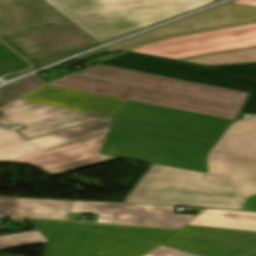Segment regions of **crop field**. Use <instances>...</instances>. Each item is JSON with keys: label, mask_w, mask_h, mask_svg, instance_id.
<instances>
[{"label": "crop field", "mask_w": 256, "mask_h": 256, "mask_svg": "<svg viewBox=\"0 0 256 256\" xmlns=\"http://www.w3.org/2000/svg\"><path fill=\"white\" fill-rule=\"evenodd\" d=\"M70 23L41 0H0V35Z\"/></svg>", "instance_id": "obj_15"}, {"label": "crop field", "mask_w": 256, "mask_h": 256, "mask_svg": "<svg viewBox=\"0 0 256 256\" xmlns=\"http://www.w3.org/2000/svg\"><path fill=\"white\" fill-rule=\"evenodd\" d=\"M103 53H107V51H105L104 49H101V50H97L95 52L89 53L87 55L81 56L79 58L81 60H83V59H87V58H90V57H93V56H97V55H100V54H103Z\"/></svg>", "instance_id": "obj_25"}, {"label": "crop field", "mask_w": 256, "mask_h": 256, "mask_svg": "<svg viewBox=\"0 0 256 256\" xmlns=\"http://www.w3.org/2000/svg\"><path fill=\"white\" fill-rule=\"evenodd\" d=\"M256 20V8L223 4L199 14L112 44L109 53L168 35H175Z\"/></svg>", "instance_id": "obj_11"}, {"label": "crop field", "mask_w": 256, "mask_h": 256, "mask_svg": "<svg viewBox=\"0 0 256 256\" xmlns=\"http://www.w3.org/2000/svg\"><path fill=\"white\" fill-rule=\"evenodd\" d=\"M27 67L30 66L22 59L0 62V74L20 71Z\"/></svg>", "instance_id": "obj_22"}, {"label": "crop field", "mask_w": 256, "mask_h": 256, "mask_svg": "<svg viewBox=\"0 0 256 256\" xmlns=\"http://www.w3.org/2000/svg\"><path fill=\"white\" fill-rule=\"evenodd\" d=\"M113 118L25 141L0 126V161L29 163L54 175L116 159L99 154Z\"/></svg>", "instance_id": "obj_4"}, {"label": "crop field", "mask_w": 256, "mask_h": 256, "mask_svg": "<svg viewBox=\"0 0 256 256\" xmlns=\"http://www.w3.org/2000/svg\"><path fill=\"white\" fill-rule=\"evenodd\" d=\"M43 82L32 75L0 88V103L5 105L19 96L41 86Z\"/></svg>", "instance_id": "obj_19"}, {"label": "crop field", "mask_w": 256, "mask_h": 256, "mask_svg": "<svg viewBox=\"0 0 256 256\" xmlns=\"http://www.w3.org/2000/svg\"><path fill=\"white\" fill-rule=\"evenodd\" d=\"M0 125L21 124L25 139L109 117L18 100L0 110Z\"/></svg>", "instance_id": "obj_10"}, {"label": "crop field", "mask_w": 256, "mask_h": 256, "mask_svg": "<svg viewBox=\"0 0 256 256\" xmlns=\"http://www.w3.org/2000/svg\"><path fill=\"white\" fill-rule=\"evenodd\" d=\"M231 123L128 102L100 153L207 173L206 154Z\"/></svg>", "instance_id": "obj_2"}, {"label": "crop field", "mask_w": 256, "mask_h": 256, "mask_svg": "<svg viewBox=\"0 0 256 256\" xmlns=\"http://www.w3.org/2000/svg\"><path fill=\"white\" fill-rule=\"evenodd\" d=\"M97 43L217 0H43Z\"/></svg>", "instance_id": "obj_5"}, {"label": "crop field", "mask_w": 256, "mask_h": 256, "mask_svg": "<svg viewBox=\"0 0 256 256\" xmlns=\"http://www.w3.org/2000/svg\"><path fill=\"white\" fill-rule=\"evenodd\" d=\"M256 46V23L168 38L129 51L185 59Z\"/></svg>", "instance_id": "obj_9"}, {"label": "crop field", "mask_w": 256, "mask_h": 256, "mask_svg": "<svg viewBox=\"0 0 256 256\" xmlns=\"http://www.w3.org/2000/svg\"><path fill=\"white\" fill-rule=\"evenodd\" d=\"M0 39L24 58L85 48L97 44L73 24L1 36Z\"/></svg>", "instance_id": "obj_14"}, {"label": "crop field", "mask_w": 256, "mask_h": 256, "mask_svg": "<svg viewBox=\"0 0 256 256\" xmlns=\"http://www.w3.org/2000/svg\"><path fill=\"white\" fill-rule=\"evenodd\" d=\"M208 173L228 176L242 197L256 195V116L230 125L207 154Z\"/></svg>", "instance_id": "obj_8"}, {"label": "crop field", "mask_w": 256, "mask_h": 256, "mask_svg": "<svg viewBox=\"0 0 256 256\" xmlns=\"http://www.w3.org/2000/svg\"><path fill=\"white\" fill-rule=\"evenodd\" d=\"M126 52H128V51H126ZM123 53H125V52H123ZM123 53H119V54L112 55V56H108V57L99 58L98 60H99L100 62H102V61H104V60L110 59V58H112V57H115V56L120 55V54H123Z\"/></svg>", "instance_id": "obj_27"}, {"label": "crop field", "mask_w": 256, "mask_h": 256, "mask_svg": "<svg viewBox=\"0 0 256 256\" xmlns=\"http://www.w3.org/2000/svg\"><path fill=\"white\" fill-rule=\"evenodd\" d=\"M241 210L256 212V196L246 198Z\"/></svg>", "instance_id": "obj_24"}, {"label": "crop field", "mask_w": 256, "mask_h": 256, "mask_svg": "<svg viewBox=\"0 0 256 256\" xmlns=\"http://www.w3.org/2000/svg\"><path fill=\"white\" fill-rule=\"evenodd\" d=\"M99 65L246 91L249 94L240 112L256 111V63L204 67L128 52Z\"/></svg>", "instance_id": "obj_7"}, {"label": "crop field", "mask_w": 256, "mask_h": 256, "mask_svg": "<svg viewBox=\"0 0 256 256\" xmlns=\"http://www.w3.org/2000/svg\"><path fill=\"white\" fill-rule=\"evenodd\" d=\"M143 256H195L182 251H178L165 246H158L151 251L147 252Z\"/></svg>", "instance_id": "obj_20"}, {"label": "crop field", "mask_w": 256, "mask_h": 256, "mask_svg": "<svg viewBox=\"0 0 256 256\" xmlns=\"http://www.w3.org/2000/svg\"><path fill=\"white\" fill-rule=\"evenodd\" d=\"M188 224L256 231V214L208 210L199 214Z\"/></svg>", "instance_id": "obj_17"}, {"label": "crop field", "mask_w": 256, "mask_h": 256, "mask_svg": "<svg viewBox=\"0 0 256 256\" xmlns=\"http://www.w3.org/2000/svg\"><path fill=\"white\" fill-rule=\"evenodd\" d=\"M18 58L20 57L14 54L7 47H5L4 45H0V61L12 60V59H18Z\"/></svg>", "instance_id": "obj_23"}, {"label": "crop field", "mask_w": 256, "mask_h": 256, "mask_svg": "<svg viewBox=\"0 0 256 256\" xmlns=\"http://www.w3.org/2000/svg\"><path fill=\"white\" fill-rule=\"evenodd\" d=\"M21 100H27L109 116H115L128 102L126 100L116 98L47 86H44L34 91L33 93L21 98Z\"/></svg>", "instance_id": "obj_16"}, {"label": "crop field", "mask_w": 256, "mask_h": 256, "mask_svg": "<svg viewBox=\"0 0 256 256\" xmlns=\"http://www.w3.org/2000/svg\"><path fill=\"white\" fill-rule=\"evenodd\" d=\"M231 3H238V4H245V5H252L256 6V0H235Z\"/></svg>", "instance_id": "obj_26"}, {"label": "crop field", "mask_w": 256, "mask_h": 256, "mask_svg": "<svg viewBox=\"0 0 256 256\" xmlns=\"http://www.w3.org/2000/svg\"><path fill=\"white\" fill-rule=\"evenodd\" d=\"M80 50H83V49L68 51V52H63V53H57V54H51V55H45V56H39V57H33V58H27L26 60H28L34 66L38 67L40 65L46 64L48 62H51L53 60L59 59L61 57L67 56L69 54L75 53Z\"/></svg>", "instance_id": "obj_21"}, {"label": "crop field", "mask_w": 256, "mask_h": 256, "mask_svg": "<svg viewBox=\"0 0 256 256\" xmlns=\"http://www.w3.org/2000/svg\"><path fill=\"white\" fill-rule=\"evenodd\" d=\"M73 201L0 197V218L23 216L66 220ZM38 232L0 237V250L45 243Z\"/></svg>", "instance_id": "obj_13"}, {"label": "crop field", "mask_w": 256, "mask_h": 256, "mask_svg": "<svg viewBox=\"0 0 256 256\" xmlns=\"http://www.w3.org/2000/svg\"><path fill=\"white\" fill-rule=\"evenodd\" d=\"M47 85L232 119L248 94L99 65Z\"/></svg>", "instance_id": "obj_3"}, {"label": "crop field", "mask_w": 256, "mask_h": 256, "mask_svg": "<svg viewBox=\"0 0 256 256\" xmlns=\"http://www.w3.org/2000/svg\"><path fill=\"white\" fill-rule=\"evenodd\" d=\"M204 66L256 62V47L179 60Z\"/></svg>", "instance_id": "obj_18"}, {"label": "crop field", "mask_w": 256, "mask_h": 256, "mask_svg": "<svg viewBox=\"0 0 256 256\" xmlns=\"http://www.w3.org/2000/svg\"><path fill=\"white\" fill-rule=\"evenodd\" d=\"M175 207L74 201L71 211L98 214L97 222L178 228L193 216L172 215Z\"/></svg>", "instance_id": "obj_12"}, {"label": "crop field", "mask_w": 256, "mask_h": 256, "mask_svg": "<svg viewBox=\"0 0 256 256\" xmlns=\"http://www.w3.org/2000/svg\"><path fill=\"white\" fill-rule=\"evenodd\" d=\"M228 177L152 164L124 203L240 210Z\"/></svg>", "instance_id": "obj_6"}, {"label": "crop field", "mask_w": 256, "mask_h": 256, "mask_svg": "<svg viewBox=\"0 0 256 256\" xmlns=\"http://www.w3.org/2000/svg\"><path fill=\"white\" fill-rule=\"evenodd\" d=\"M47 239L43 256H141L159 244L198 256H252L256 232L186 225L181 230L28 219Z\"/></svg>", "instance_id": "obj_1"}]
</instances>
